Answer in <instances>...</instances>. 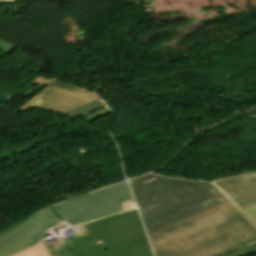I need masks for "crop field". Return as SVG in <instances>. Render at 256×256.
<instances>
[{
	"mask_svg": "<svg viewBox=\"0 0 256 256\" xmlns=\"http://www.w3.org/2000/svg\"><path fill=\"white\" fill-rule=\"evenodd\" d=\"M156 256H219L256 240V227L229 201L149 234Z\"/></svg>",
	"mask_w": 256,
	"mask_h": 256,
	"instance_id": "1",
	"label": "crop field"
},
{
	"mask_svg": "<svg viewBox=\"0 0 256 256\" xmlns=\"http://www.w3.org/2000/svg\"><path fill=\"white\" fill-rule=\"evenodd\" d=\"M129 184L147 234L227 201L209 182L148 174Z\"/></svg>",
	"mask_w": 256,
	"mask_h": 256,
	"instance_id": "2",
	"label": "crop field"
},
{
	"mask_svg": "<svg viewBox=\"0 0 256 256\" xmlns=\"http://www.w3.org/2000/svg\"><path fill=\"white\" fill-rule=\"evenodd\" d=\"M75 229L81 235L43 243L51 256H153L136 209Z\"/></svg>",
	"mask_w": 256,
	"mask_h": 256,
	"instance_id": "3",
	"label": "crop field"
},
{
	"mask_svg": "<svg viewBox=\"0 0 256 256\" xmlns=\"http://www.w3.org/2000/svg\"><path fill=\"white\" fill-rule=\"evenodd\" d=\"M127 182L52 207L69 225H76L123 211L121 203L132 201Z\"/></svg>",
	"mask_w": 256,
	"mask_h": 256,
	"instance_id": "4",
	"label": "crop field"
},
{
	"mask_svg": "<svg viewBox=\"0 0 256 256\" xmlns=\"http://www.w3.org/2000/svg\"><path fill=\"white\" fill-rule=\"evenodd\" d=\"M63 223L50 208L0 236V256H7L45 239L46 230Z\"/></svg>",
	"mask_w": 256,
	"mask_h": 256,
	"instance_id": "5",
	"label": "crop field"
},
{
	"mask_svg": "<svg viewBox=\"0 0 256 256\" xmlns=\"http://www.w3.org/2000/svg\"><path fill=\"white\" fill-rule=\"evenodd\" d=\"M210 183L240 211L256 207V172Z\"/></svg>",
	"mask_w": 256,
	"mask_h": 256,
	"instance_id": "6",
	"label": "crop field"
},
{
	"mask_svg": "<svg viewBox=\"0 0 256 256\" xmlns=\"http://www.w3.org/2000/svg\"><path fill=\"white\" fill-rule=\"evenodd\" d=\"M93 100L95 99L48 86L22 106L20 110L24 112L28 108L35 107L63 113Z\"/></svg>",
	"mask_w": 256,
	"mask_h": 256,
	"instance_id": "7",
	"label": "crop field"
},
{
	"mask_svg": "<svg viewBox=\"0 0 256 256\" xmlns=\"http://www.w3.org/2000/svg\"><path fill=\"white\" fill-rule=\"evenodd\" d=\"M9 256H49V254L41 242Z\"/></svg>",
	"mask_w": 256,
	"mask_h": 256,
	"instance_id": "8",
	"label": "crop field"
},
{
	"mask_svg": "<svg viewBox=\"0 0 256 256\" xmlns=\"http://www.w3.org/2000/svg\"><path fill=\"white\" fill-rule=\"evenodd\" d=\"M106 106L105 103L101 102V101H98V100H95L91 103H88L86 105H83L79 108H76L74 110H71L69 112H67L66 114L70 117V118H73V117H76V116H79L81 114H84V113H87V112H90V111H93L95 109H98V108H101V107H104Z\"/></svg>",
	"mask_w": 256,
	"mask_h": 256,
	"instance_id": "9",
	"label": "crop field"
},
{
	"mask_svg": "<svg viewBox=\"0 0 256 256\" xmlns=\"http://www.w3.org/2000/svg\"><path fill=\"white\" fill-rule=\"evenodd\" d=\"M256 251V242L249 245V246H246V247H243V248H240L236 251H233L227 255H224V256H242V255H245V254H249V253H252V252H255Z\"/></svg>",
	"mask_w": 256,
	"mask_h": 256,
	"instance_id": "10",
	"label": "crop field"
},
{
	"mask_svg": "<svg viewBox=\"0 0 256 256\" xmlns=\"http://www.w3.org/2000/svg\"><path fill=\"white\" fill-rule=\"evenodd\" d=\"M17 47V45L6 42L4 40H0V50L7 54L11 55Z\"/></svg>",
	"mask_w": 256,
	"mask_h": 256,
	"instance_id": "11",
	"label": "crop field"
},
{
	"mask_svg": "<svg viewBox=\"0 0 256 256\" xmlns=\"http://www.w3.org/2000/svg\"><path fill=\"white\" fill-rule=\"evenodd\" d=\"M74 92H77V93H80V94H83V95H86V96H89V97H92V98L102 100L98 94H96L95 92H93L91 90H88V89L76 87Z\"/></svg>",
	"mask_w": 256,
	"mask_h": 256,
	"instance_id": "12",
	"label": "crop field"
},
{
	"mask_svg": "<svg viewBox=\"0 0 256 256\" xmlns=\"http://www.w3.org/2000/svg\"><path fill=\"white\" fill-rule=\"evenodd\" d=\"M109 112H111V111H109L107 109H102L100 111H97V112H95L93 114H90L88 116H85V117L88 119L89 122H91V121H93V120H95V119H97V118H99V117H101V116H103V115H105Z\"/></svg>",
	"mask_w": 256,
	"mask_h": 256,
	"instance_id": "13",
	"label": "crop field"
},
{
	"mask_svg": "<svg viewBox=\"0 0 256 256\" xmlns=\"http://www.w3.org/2000/svg\"><path fill=\"white\" fill-rule=\"evenodd\" d=\"M242 213L256 226V208L242 211Z\"/></svg>",
	"mask_w": 256,
	"mask_h": 256,
	"instance_id": "14",
	"label": "crop field"
},
{
	"mask_svg": "<svg viewBox=\"0 0 256 256\" xmlns=\"http://www.w3.org/2000/svg\"><path fill=\"white\" fill-rule=\"evenodd\" d=\"M49 84L54 85V86H58V87H61V88H64V89H68V90H71V91H73L74 88H75V86H72V85H69V84H66V83H63V82H60V81L51 82Z\"/></svg>",
	"mask_w": 256,
	"mask_h": 256,
	"instance_id": "15",
	"label": "crop field"
},
{
	"mask_svg": "<svg viewBox=\"0 0 256 256\" xmlns=\"http://www.w3.org/2000/svg\"><path fill=\"white\" fill-rule=\"evenodd\" d=\"M4 1H8V2H10V3L15 4L17 0H4ZM18 1H19V0H18ZM18 1H17V2H18Z\"/></svg>",
	"mask_w": 256,
	"mask_h": 256,
	"instance_id": "16",
	"label": "crop field"
},
{
	"mask_svg": "<svg viewBox=\"0 0 256 256\" xmlns=\"http://www.w3.org/2000/svg\"><path fill=\"white\" fill-rule=\"evenodd\" d=\"M4 3L3 1H0V4Z\"/></svg>",
	"mask_w": 256,
	"mask_h": 256,
	"instance_id": "17",
	"label": "crop field"
}]
</instances>
